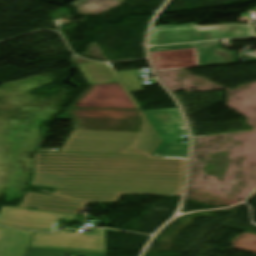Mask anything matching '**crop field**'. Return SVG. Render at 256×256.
<instances>
[{
    "label": "crop field",
    "instance_id": "crop-field-1",
    "mask_svg": "<svg viewBox=\"0 0 256 256\" xmlns=\"http://www.w3.org/2000/svg\"><path fill=\"white\" fill-rule=\"evenodd\" d=\"M161 142L145 114H141L137 137L128 148L116 154H38L48 157H37L35 168L75 175L59 189L181 193L187 159L151 157Z\"/></svg>",
    "mask_w": 256,
    "mask_h": 256
},
{
    "label": "crop field",
    "instance_id": "crop-field-2",
    "mask_svg": "<svg viewBox=\"0 0 256 256\" xmlns=\"http://www.w3.org/2000/svg\"><path fill=\"white\" fill-rule=\"evenodd\" d=\"M140 109L69 108L74 130L61 152L115 153L135 139Z\"/></svg>",
    "mask_w": 256,
    "mask_h": 256
},
{
    "label": "crop field",
    "instance_id": "crop-field-3",
    "mask_svg": "<svg viewBox=\"0 0 256 256\" xmlns=\"http://www.w3.org/2000/svg\"><path fill=\"white\" fill-rule=\"evenodd\" d=\"M256 36L252 25L228 24L217 30H205L196 24L161 26L152 30L150 45Z\"/></svg>",
    "mask_w": 256,
    "mask_h": 256
},
{
    "label": "crop field",
    "instance_id": "crop-field-4",
    "mask_svg": "<svg viewBox=\"0 0 256 256\" xmlns=\"http://www.w3.org/2000/svg\"><path fill=\"white\" fill-rule=\"evenodd\" d=\"M120 193L55 190L53 196L27 192L28 208L78 214L87 203L115 202Z\"/></svg>",
    "mask_w": 256,
    "mask_h": 256
},
{
    "label": "crop field",
    "instance_id": "crop-field-5",
    "mask_svg": "<svg viewBox=\"0 0 256 256\" xmlns=\"http://www.w3.org/2000/svg\"><path fill=\"white\" fill-rule=\"evenodd\" d=\"M160 137L162 145L153 156L188 158V144L175 143L180 135H188L178 109L143 111Z\"/></svg>",
    "mask_w": 256,
    "mask_h": 256
},
{
    "label": "crop field",
    "instance_id": "crop-field-6",
    "mask_svg": "<svg viewBox=\"0 0 256 256\" xmlns=\"http://www.w3.org/2000/svg\"><path fill=\"white\" fill-rule=\"evenodd\" d=\"M30 247L106 253L105 230L91 234L60 230L56 234L36 232Z\"/></svg>",
    "mask_w": 256,
    "mask_h": 256
},
{
    "label": "crop field",
    "instance_id": "crop-field-7",
    "mask_svg": "<svg viewBox=\"0 0 256 256\" xmlns=\"http://www.w3.org/2000/svg\"><path fill=\"white\" fill-rule=\"evenodd\" d=\"M28 204L20 203L19 208L2 207L0 225L23 229L53 232L59 219L73 220L77 215L26 210Z\"/></svg>",
    "mask_w": 256,
    "mask_h": 256
},
{
    "label": "crop field",
    "instance_id": "crop-field-8",
    "mask_svg": "<svg viewBox=\"0 0 256 256\" xmlns=\"http://www.w3.org/2000/svg\"><path fill=\"white\" fill-rule=\"evenodd\" d=\"M199 47L201 67L237 62L236 52L221 49L220 42L188 45L160 46L150 48L151 52Z\"/></svg>",
    "mask_w": 256,
    "mask_h": 256
},
{
    "label": "crop field",
    "instance_id": "crop-field-9",
    "mask_svg": "<svg viewBox=\"0 0 256 256\" xmlns=\"http://www.w3.org/2000/svg\"><path fill=\"white\" fill-rule=\"evenodd\" d=\"M31 232L0 227V256H22L29 246Z\"/></svg>",
    "mask_w": 256,
    "mask_h": 256
},
{
    "label": "crop field",
    "instance_id": "crop-field-10",
    "mask_svg": "<svg viewBox=\"0 0 256 256\" xmlns=\"http://www.w3.org/2000/svg\"><path fill=\"white\" fill-rule=\"evenodd\" d=\"M79 67L89 81L90 85L118 81L133 102V104L136 106V108H139L133 97L130 95V93L116 74V72L111 68L109 64L89 63L81 64L79 65Z\"/></svg>",
    "mask_w": 256,
    "mask_h": 256
},
{
    "label": "crop field",
    "instance_id": "crop-field-11",
    "mask_svg": "<svg viewBox=\"0 0 256 256\" xmlns=\"http://www.w3.org/2000/svg\"><path fill=\"white\" fill-rule=\"evenodd\" d=\"M72 177V175L35 169L30 185L58 189Z\"/></svg>",
    "mask_w": 256,
    "mask_h": 256
},
{
    "label": "crop field",
    "instance_id": "crop-field-12",
    "mask_svg": "<svg viewBox=\"0 0 256 256\" xmlns=\"http://www.w3.org/2000/svg\"><path fill=\"white\" fill-rule=\"evenodd\" d=\"M129 92H137V91H143L142 87L140 86L136 74V70H130V71H120L117 72Z\"/></svg>",
    "mask_w": 256,
    "mask_h": 256
},
{
    "label": "crop field",
    "instance_id": "crop-field-13",
    "mask_svg": "<svg viewBox=\"0 0 256 256\" xmlns=\"http://www.w3.org/2000/svg\"><path fill=\"white\" fill-rule=\"evenodd\" d=\"M66 251L26 248L23 256H65Z\"/></svg>",
    "mask_w": 256,
    "mask_h": 256
},
{
    "label": "crop field",
    "instance_id": "crop-field-14",
    "mask_svg": "<svg viewBox=\"0 0 256 256\" xmlns=\"http://www.w3.org/2000/svg\"><path fill=\"white\" fill-rule=\"evenodd\" d=\"M66 254L81 255V256H105V254L86 253V252H76V251H67Z\"/></svg>",
    "mask_w": 256,
    "mask_h": 256
},
{
    "label": "crop field",
    "instance_id": "crop-field-15",
    "mask_svg": "<svg viewBox=\"0 0 256 256\" xmlns=\"http://www.w3.org/2000/svg\"><path fill=\"white\" fill-rule=\"evenodd\" d=\"M222 25H219V26H210V27H203V28H206V29H216L218 27H221Z\"/></svg>",
    "mask_w": 256,
    "mask_h": 256
}]
</instances>
